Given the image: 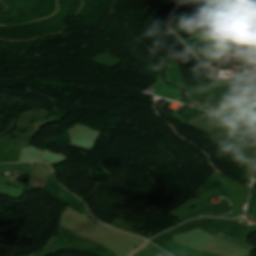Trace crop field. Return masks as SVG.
<instances>
[{
    "label": "crop field",
    "mask_w": 256,
    "mask_h": 256,
    "mask_svg": "<svg viewBox=\"0 0 256 256\" xmlns=\"http://www.w3.org/2000/svg\"><path fill=\"white\" fill-rule=\"evenodd\" d=\"M228 124L233 128V130L241 138V140L245 144H247L251 149L254 150L253 143L256 136V132L235 123H228Z\"/></svg>",
    "instance_id": "1"
},
{
    "label": "crop field",
    "mask_w": 256,
    "mask_h": 256,
    "mask_svg": "<svg viewBox=\"0 0 256 256\" xmlns=\"http://www.w3.org/2000/svg\"><path fill=\"white\" fill-rule=\"evenodd\" d=\"M168 249H170L171 251H173L176 254L182 255V256H197L200 252V250L197 249H193L181 244H177V243H170L167 246Z\"/></svg>",
    "instance_id": "2"
},
{
    "label": "crop field",
    "mask_w": 256,
    "mask_h": 256,
    "mask_svg": "<svg viewBox=\"0 0 256 256\" xmlns=\"http://www.w3.org/2000/svg\"><path fill=\"white\" fill-rule=\"evenodd\" d=\"M165 255H167V253H165L164 251L156 247L145 256H165ZM167 256H171V255L168 254Z\"/></svg>",
    "instance_id": "3"
},
{
    "label": "crop field",
    "mask_w": 256,
    "mask_h": 256,
    "mask_svg": "<svg viewBox=\"0 0 256 256\" xmlns=\"http://www.w3.org/2000/svg\"><path fill=\"white\" fill-rule=\"evenodd\" d=\"M30 179L44 182L46 178L31 175Z\"/></svg>",
    "instance_id": "4"
},
{
    "label": "crop field",
    "mask_w": 256,
    "mask_h": 256,
    "mask_svg": "<svg viewBox=\"0 0 256 256\" xmlns=\"http://www.w3.org/2000/svg\"><path fill=\"white\" fill-rule=\"evenodd\" d=\"M199 256H219V255H215V254H212V253L202 251Z\"/></svg>",
    "instance_id": "5"
}]
</instances>
